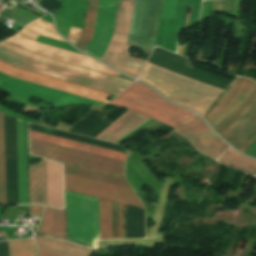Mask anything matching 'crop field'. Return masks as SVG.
<instances>
[{
  "label": "crop field",
  "mask_w": 256,
  "mask_h": 256,
  "mask_svg": "<svg viewBox=\"0 0 256 256\" xmlns=\"http://www.w3.org/2000/svg\"><path fill=\"white\" fill-rule=\"evenodd\" d=\"M191 2L189 20H197L201 0H164L155 44L175 52L178 29L184 28Z\"/></svg>",
  "instance_id": "obj_9"
},
{
  "label": "crop field",
  "mask_w": 256,
  "mask_h": 256,
  "mask_svg": "<svg viewBox=\"0 0 256 256\" xmlns=\"http://www.w3.org/2000/svg\"><path fill=\"white\" fill-rule=\"evenodd\" d=\"M31 204L46 205L45 160L29 166Z\"/></svg>",
  "instance_id": "obj_21"
},
{
  "label": "crop field",
  "mask_w": 256,
  "mask_h": 256,
  "mask_svg": "<svg viewBox=\"0 0 256 256\" xmlns=\"http://www.w3.org/2000/svg\"><path fill=\"white\" fill-rule=\"evenodd\" d=\"M64 172L82 176V177H86V178H90V179H94V180H99V181L115 184V185H119V186H123V187H127V188H131V186L126 181V179L99 173V172H94V171H90V170H86V169H82V168H78V167H74V166H70V165H66V164H64Z\"/></svg>",
  "instance_id": "obj_24"
},
{
  "label": "crop field",
  "mask_w": 256,
  "mask_h": 256,
  "mask_svg": "<svg viewBox=\"0 0 256 256\" xmlns=\"http://www.w3.org/2000/svg\"><path fill=\"white\" fill-rule=\"evenodd\" d=\"M20 33H22V34H24V35H26V36L34 39V40H36L37 37L39 36V34H37L35 32H32V31H30V30H28L26 28H24L22 31H20Z\"/></svg>",
  "instance_id": "obj_32"
},
{
  "label": "crop field",
  "mask_w": 256,
  "mask_h": 256,
  "mask_svg": "<svg viewBox=\"0 0 256 256\" xmlns=\"http://www.w3.org/2000/svg\"><path fill=\"white\" fill-rule=\"evenodd\" d=\"M80 34H81V29L70 27V32L66 39L75 45Z\"/></svg>",
  "instance_id": "obj_31"
},
{
  "label": "crop field",
  "mask_w": 256,
  "mask_h": 256,
  "mask_svg": "<svg viewBox=\"0 0 256 256\" xmlns=\"http://www.w3.org/2000/svg\"><path fill=\"white\" fill-rule=\"evenodd\" d=\"M10 256H34L33 239L8 241Z\"/></svg>",
  "instance_id": "obj_28"
},
{
  "label": "crop field",
  "mask_w": 256,
  "mask_h": 256,
  "mask_svg": "<svg viewBox=\"0 0 256 256\" xmlns=\"http://www.w3.org/2000/svg\"><path fill=\"white\" fill-rule=\"evenodd\" d=\"M255 137L256 101L241 115L224 138L244 153Z\"/></svg>",
  "instance_id": "obj_15"
},
{
  "label": "crop field",
  "mask_w": 256,
  "mask_h": 256,
  "mask_svg": "<svg viewBox=\"0 0 256 256\" xmlns=\"http://www.w3.org/2000/svg\"><path fill=\"white\" fill-rule=\"evenodd\" d=\"M225 165L242 170L256 176V160L247 158L229 149L225 155L219 160ZM249 174V175H250Z\"/></svg>",
  "instance_id": "obj_25"
},
{
  "label": "crop field",
  "mask_w": 256,
  "mask_h": 256,
  "mask_svg": "<svg viewBox=\"0 0 256 256\" xmlns=\"http://www.w3.org/2000/svg\"><path fill=\"white\" fill-rule=\"evenodd\" d=\"M140 80L157 89L169 100L202 116L224 90L185 78L147 63Z\"/></svg>",
  "instance_id": "obj_3"
},
{
  "label": "crop field",
  "mask_w": 256,
  "mask_h": 256,
  "mask_svg": "<svg viewBox=\"0 0 256 256\" xmlns=\"http://www.w3.org/2000/svg\"><path fill=\"white\" fill-rule=\"evenodd\" d=\"M118 0H100L93 37L86 53L101 59L112 36Z\"/></svg>",
  "instance_id": "obj_13"
},
{
  "label": "crop field",
  "mask_w": 256,
  "mask_h": 256,
  "mask_svg": "<svg viewBox=\"0 0 256 256\" xmlns=\"http://www.w3.org/2000/svg\"><path fill=\"white\" fill-rule=\"evenodd\" d=\"M133 6L134 0H119L112 40L102 58L113 67L128 38Z\"/></svg>",
  "instance_id": "obj_14"
},
{
  "label": "crop field",
  "mask_w": 256,
  "mask_h": 256,
  "mask_svg": "<svg viewBox=\"0 0 256 256\" xmlns=\"http://www.w3.org/2000/svg\"><path fill=\"white\" fill-rule=\"evenodd\" d=\"M30 154L124 177L125 162L30 139Z\"/></svg>",
  "instance_id": "obj_8"
},
{
  "label": "crop field",
  "mask_w": 256,
  "mask_h": 256,
  "mask_svg": "<svg viewBox=\"0 0 256 256\" xmlns=\"http://www.w3.org/2000/svg\"><path fill=\"white\" fill-rule=\"evenodd\" d=\"M173 129L197 151L213 159H217L228 148L198 115Z\"/></svg>",
  "instance_id": "obj_10"
},
{
  "label": "crop field",
  "mask_w": 256,
  "mask_h": 256,
  "mask_svg": "<svg viewBox=\"0 0 256 256\" xmlns=\"http://www.w3.org/2000/svg\"><path fill=\"white\" fill-rule=\"evenodd\" d=\"M39 256H55V255H51V254H47V253H43V252H39Z\"/></svg>",
  "instance_id": "obj_34"
},
{
  "label": "crop field",
  "mask_w": 256,
  "mask_h": 256,
  "mask_svg": "<svg viewBox=\"0 0 256 256\" xmlns=\"http://www.w3.org/2000/svg\"><path fill=\"white\" fill-rule=\"evenodd\" d=\"M6 42L25 49L29 52L36 53L39 55L47 56L57 60L65 61L82 67L90 68L100 72L111 74V69L105 67L104 65L98 63L97 61L81 54L70 52L67 50L59 49L49 45L41 44L33 41L29 38L17 34ZM116 73V72H114ZM118 74V73H117Z\"/></svg>",
  "instance_id": "obj_12"
},
{
  "label": "crop field",
  "mask_w": 256,
  "mask_h": 256,
  "mask_svg": "<svg viewBox=\"0 0 256 256\" xmlns=\"http://www.w3.org/2000/svg\"><path fill=\"white\" fill-rule=\"evenodd\" d=\"M149 119L150 118L129 110L114 121L96 138L116 143Z\"/></svg>",
  "instance_id": "obj_16"
},
{
  "label": "crop field",
  "mask_w": 256,
  "mask_h": 256,
  "mask_svg": "<svg viewBox=\"0 0 256 256\" xmlns=\"http://www.w3.org/2000/svg\"><path fill=\"white\" fill-rule=\"evenodd\" d=\"M0 59L20 68L49 75L116 95L121 93L125 88L128 87V85H130L129 83L121 81L118 82L128 85L115 82L117 80L111 81L113 79L108 80L109 78H106L110 76L107 75L29 54L5 42L0 44Z\"/></svg>",
  "instance_id": "obj_2"
},
{
  "label": "crop field",
  "mask_w": 256,
  "mask_h": 256,
  "mask_svg": "<svg viewBox=\"0 0 256 256\" xmlns=\"http://www.w3.org/2000/svg\"><path fill=\"white\" fill-rule=\"evenodd\" d=\"M99 0H89L87 13L85 17V25H84V31L83 35L81 36L78 44L76 47L81 49L82 51H85L88 42L92 36L97 8H98Z\"/></svg>",
  "instance_id": "obj_26"
},
{
  "label": "crop field",
  "mask_w": 256,
  "mask_h": 256,
  "mask_svg": "<svg viewBox=\"0 0 256 256\" xmlns=\"http://www.w3.org/2000/svg\"><path fill=\"white\" fill-rule=\"evenodd\" d=\"M100 239L111 238V204L99 199ZM120 238H124L123 205L119 204Z\"/></svg>",
  "instance_id": "obj_23"
},
{
  "label": "crop field",
  "mask_w": 256,
  "mask_h": 256,
  "mask_svg": "<svg viewBox=\"0 0 256 256\" xmlns=\"http://www.w3.org/2000/svg\"><path fill=\"white\" fill-rule=\"evenodd\" d=\"M234 4H235V0H221L218 11H223L227 14L232 15Z\"/></svg>",
  "instance_id": "obj_30"
},
{
  "label": "crop field",
  "mask_w": 256,
  "mask_h": 256,
  "mask_svg": "<svg viewBox=\"0 0 256 256\" xmlns=\"http://www.w3.org/2000/svg\"><path fill=\"white\" fill-rule=\"evenodd\" d=\"M255 99L256 84L247 78L240 77L214 103L204 118L224 137Z\"/></svg>",
  "instance_id": "obj_6"
},
{
  "label": "crop field",
  "mask_w": 256,
  "mask_h": 256,
  "mask_svg": "<svg viewBox=\"0 0 256 256\" xmlns=\"http://www.w3.org/2000/svg\"><path fill=\"white\" fill-rule=\"evenodd\" d=\"M42 233L66 239L65 209L46 207Z\"/></svg>",
  "instance_id": "obj_22"
},
{
  "label": "crop field",
  "mask_w": 256,
  "mask_h": 256,
  "mask_svg": "<svg viewBox=\"0 0 256 256\" xmlns=\"http://www.w3.org/2000/svg\"><path fill=\"white\" fill-rule=\"evenodd\" d=\"M30 138L48 142V143H52V144L69 147V148H73V149H78V150H82V151H86V152H90V153H94V154H98V155H103V156H107V157H111V158H115V159H119V160H123V161H125V159L127 157V154H123V153H119V152H115V151H111V150H107V149H103V148H99V147H95V146H91V145H87V144H83V143H79V142H75V141H71V140H67V139H63V138H59V137L31 131V130H30Z\"/></svg>",
  "instance_id": "obj_19"
},
{
  "label": "crop field",
  "mask_w": 256,
  "mask_h": 256,
  "mask_svg": "<svg viewBox=\"0 0 256 256\" xmlns=\"http://www.w3.org/2000/svg\"><path fill=\"white\" fill-rule=\"evenodd\" d=\"M0 204H6L3 113L0 112Z\"/></svg>",
  "instance_id": "obj_27"
},
{
  "label": "crop field",
  "mask_w": 256,
  "mask_h": 256,
  "mask_svg": "<svg viewBox=\"0 0 256 256\" xmlns=\"http://www.w3.org/2000/svg\"><path fill=\"white\" fill-rule=\"evenodd\" d=\"M65 189L143 207L131 189L64 173Z\"/></svg>",
  "instance_id": "obj_11"
},
{
  "label": "crop field",
  "mask_w": 256,
  "mask_h": 256,
  "mask_svg": "<svg viewBox=\"0 0 256 256\" xmlns=\"http://www.w3.org/2000/svg\"><path fill=\"white\" fill-rule=\"evenodd\" d=\"M19 204H28L26 123L17 119Z\"/></svg>",
  "instance_id": "obj_17"
},
{
  "label": "crop field",
  "mask_w": 256,
  "mask_h": 256,
  "mask_svg": "<svg viewBox=\"0 0 256 256\" xmlns=\"http://www.w3.org/2000/svg\"><path fill=\"white\" fill-rule=\"evenodd\" d=\"M42 209H43V206H41V205H34V206H31V208H30V214L41 215Z\"/></svg>",
  "instance_id": "obj_33"
},
{
  "label": "crop field",
  "mask_w": 256,
  "mask_h": 256,
  "mask_svg": "<svg viewBox=\"0 0 256 256\" xmlns=\"http://www.w3.org/2000/svg\"><path fill=\"white\" fill-rule=\"evenodd\" d=\"M47 205L63 208L62 164L46 160Z\"/></svg>",
  "instance_id": "obj_18"
},
{
  "label": "crop field",
  "mask_w": 256,
  "mask_h": 256,
  "mask_svg": "<svg viewBox=\"0 0 256 256\" xmlns=\"http://www.w3.org/2000/svg\"><path fill=\"white\" fill-rule=\"evenodd\" d=\"M38 250L60 255V256H90L94 249L54 240L50 238L35 236Z\"/></svg>",
  "instance_id": "obj_20"
},
{
  "label": "crop field",
  "mask_w": 256,
  "mask_h": 256,
  "mask_svg": "<svg viewBox=\"0 0 256 256\" xmlns=\"http://www.w3.org/2000/svg\"><path fill=\"white\" fill-rule=\"evenodd\" d=\"M68 240L96 247L98 199L66 191Z\"/></svg>",
  "instance_id": "obj_7"
},
{
  "label": "crop field",
  "mask_w": 256,
  "mask_h": 256,
  "mask_svg": "<svg viewBox=\"0 0 256 256\" xmlns=\"http://www.w3.org/2000/svg\"><path fill=\"white\" fill-rule=\"evenodd\" d=\"M156 119L170 127H175L196 114L174 106L150 88L135 82L111 103Z\"/></svg>",
  "instance_id": "obj_5"
},
{
  "label": "crop field",
  "mask_w": 256,
  "mask_h": 256,
  "mask_svg": "<svg viewBox=\"0 0 256 256\" xmlns=\"http://www.w3.org/2000/svg\"><path fill=\"white\" fill-rule=\"evenodd\" d=\"M0 72L4 73L10 77L59 90L65 93L97 101L106 104L108 100H105L109 94L98 92L95 90L87 89L49 77L41 76L31 72L17 69L6 63L0 61ZM0 73V89L24 100L28 105L36 107H56L63 104H69L71 102L77 104H100L62 92H58L52 89L20 81L17 79L10 78L4 74ZM37 98L46 102L52 103V105H39L29 100Z\"/></svg>",
  "instance_id": "obj_1"
},
{
  "label": "crop field",
  "mask_w": 256,
  "mask_h": 256,
  "mask_svg": "<svg viewBox=\"0 0 256 256\" xmlns=\"http://www.w3.org/2000/svg\"><path fill=\"white\" fill-rule=\"evenodd\" d=\"M183 46L184 45H181V46L178 47L177 53L180 54V55L182 54Z\"/></svg>",
  "instance_id": "obj_35"
},
{
  "label": "crop field",
  "mask_w": 256,
  "mask_h": 256,
  "mask_svg": "<svg viewBox=\"0 0 256 256\" xmlns=\"http://www.w3.org/2000/svg\"><path fill=\"white\" fill-rule=\"evenodd\" d=\"M161 2L162 0H135L127 44L151 51L155 42ZM129 47L125 45L114 68L138 77L146 61L129 57Z\"/></svg>",
  "instance_id": "obj_4"
},
{
  "label": "crop field",
  "mask_w": 256,
  "mask_h": 256,
  "mask_svg": "<svg viewBox=\"0 0 256 256\" xmlns=\"http://www.w3.org/2000/svg\"><path fill=\"white\" fill-rule=\"evenodd\" d=\"M26 28L35 31L43 36L64 41L57 35L52 24L45 22L41 19L34 21L33 23L26 26Z\"/></svg>",
  "instance_id": "obj_29"
}]
</instances>
